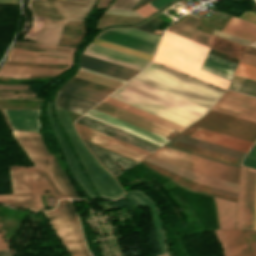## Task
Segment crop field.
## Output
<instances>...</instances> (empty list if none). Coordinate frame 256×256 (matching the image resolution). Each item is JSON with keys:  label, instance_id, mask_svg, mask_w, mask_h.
<instances>
[{"label": "crop field", "instance_id": "5d738f31", "mask_svg": "<svg viewBox=\"0 0 256 256\" xmlns=\"http://www.w3.org/2000/svg\"><path fill=\"white\" fill-rule=\"evenodd\" d=\"M171 0H155L149 4H151L152 6H154L155 8H160L161 6L165 5L166 3H168Z\"/></svg>", "mask_w": 256, "mask_h": 256}, {"label": "crop field", "instance_id": "d3111659", "mask_svg": "<svg viewBox=\"0 0 256 256\" xmlns=\"http://www.w3.org/2000/svg\"><path fill=\"white\" fill-rule=\"evenodd\" d=\"M140 19H142V18L103 14L97 28H100V27L108 25V24L132 23V22H136Z\"/></svg>", "mask_w": 256, "mask_h": 256}, {"label": "crop field", "instance_id": "eef30255", "mask_svg": "<svg viewBox=\"0 0 256 256\" xmlns=\"http://www.w3.org/2000/svg\"><path fill=\"white\" fill-rule=\"evenodd\" d=\"M60 92L68 93L71 95L83 97L93 101H100L103 99L107 94L100 93L94 90H90L72 83L67 82L60 90Z\"/></svg>", "mask_w": 256, "mask_h": 256}, {"label": "crop field", "instance_id": "bc2a9ffb", "mask_svg": "<svg viewBox=\"0 0 256 256\" xmlns=\"http://www.w3.org/2000/svg\"><path fill=\"white\" fill-rule=\"evenodd\" d=\"M213 199L218 218L219 228H234L236 203L214 196Z\"/></svg>", "mask_w": 256, "mask_h": 256}, {"label": "crop field", "instance_id": "d23c7cc5", "mask_svg": "<svg viewBox=\"0 0 256 256\" xmlns=\"http://www.w3.org/2000/svg\"><path fill=\"white\" fill-rule=\"evenodd\" d=\"M111 0H100L99 3L97 4L98 7H106L110 3Z\"/></svg>", "mask_w": 256, "mask_h": 256}, {"label": "crop field", "instance_id": "412701ff", "mask_svg": "<svg viewBox=\"0 0 256 256\" xmlns=\"http://www.w3.org/2000/svg\"><path fill=\"white\" fill-rule=\"evenodd\" d=\"M134 79L169 92L208 109L223 93L156 64L150 65Z\"/></svg>", "mask_w": 256, "mask_h": 256}, {"label": "crop field", "instance_id": "25e5ab78", "mask_svg": "<svg viewBox=\"0 0 256 256\" xmlns=\"http://www.w3.org/2000/svg\"><path fill=\"white\" fill-rule=\"evenodd\" d=\"M246 53H250V54L256 55V48L248 46V48L246 50Z\"/></svg>", "mask_w": 256, "mask_h": 256}, {"label": "crop field", "instance_id": "00972430", "mask_svg": "<svg viewBox=\"0 0 256 256\" xmlns=\"http://www.w3.org/2000/svg\"><path fill=\"white\" fill-rule=\"evenodd\" d=\"M168 31L178 34L180 36H183L185 38L191 39L193 41H196V42L206 45L208 47L210 46L211 41L214 37L213 35L195 30V29H193L189 26H186L180 22L176 23L174 26H172L170 29H168Z\"/></svg>", "mask_w": 256, "mask_h": 256}, {"label": "crop field", "instance_id": "214f88e0", "mask_svg": "<svg viewBox=\"0 0 256 256\" xmlns=\"http://www.w3.org/2000/svg\"><path fill=\"white\" fill-rule=\"evenodd\" d=\"M222 32L242 38L247 41H254L256 39V25L240 20L232 16Z\"/></svg>", "mask_w": 256, "mask_h": 256}, {"label": "crop field", "instance_id": "d1516ede", "mask_svg": "<svg viewBox=\"0 0 256 256\" xmlns=\"http://www.w3.org/2000/svg\"><path fill=\"white\" fill-rule=\"evenodd\" d=\"M85 116L90 117L92 119H95L97 121H100L102 123H105L107 125H110L112 127H115L117 129L123 130L125 132L133 134L135 136H138L140 138H143L145 140H148V141L153 142L155 144H158L160 146L164 145L165 143H167L169 141L167 139L161 138V137L156 136V135H154L152 133L144 131V130H142L140 128L132 126V125H130L128 123H125L123 121L115 119V118H113L111 116L103 114V113H101L99 111H96L94 109H92L87 114H85Z\"/></svg>", "mask_w": 256, "mask_h": 256}, {"label": "crop field", "instance_id": "5866460e", "mask_svg": "<svg viewBox=\"0 0 256 256\" xmlns=\"http://www.w3.org/2000/svg\"><path fill=\"white\" fill-rule=\"evenodd\" d=\"M88 47H92V48H95V49H98V50H102V51L109 52V53H112V54H115V55H119V56H122V57H125V58H129V59H132V60H136V61H139V62H142V63L149 64V61L142 60V59H139V58H136V57H133V56H130V55H126V54H123V53H120V52H117V51H114V50H110V49H107V48H104V47H101V46H98V45H94V44H91V43H89Z\"/></svg>", "mask_w": 256, "mask_h": 256}, {"label": "crop field", "instance_id": "4a817a6b", "mask_svg": "<svg viewBox=\"0 0 256 256\" xmlns=\"http://www.w3.org/2000/svg\"><path fill=\"white\" fill-rule=\"evenodd\" d=\"M191 137H195L201 140H205L211 143H215V144L225 146V147L235 149L245 153H247L249 148L252 146V143H248L245 141H241L238 139H234L231 137H227V136L210 132L207 130H203V129L199 130L198 132L193 134Z\"/></svg>", "mask_w": 256, "mask_h": 256}, {"label": "crop field", "instance_id": "8a807250", "mask_svg": "<svg viewBox=\"0 0 256 256\" xmlns=\"http://www.w3.org/2000/svg\"><path fill=\"white\" fill-rule=\"evenodd\" d=\"M34 166H9L12 195H0V202L32 210H45L40 195L78 197L64 172L48 153L40 134L12 131ZM48 191V193H46Z\"/></svg>", "mask_w": 256, "mask_h": 256}, {"label": "crop field", "instance_id": "750c4746", "mask_svg": "<svg viewBox=\"0 0 256 256\" xmlns=\"http://www.w3.org/2000/svg\"><path fill=\"white\" fill-rule=\"evenodd\" d=\"M92 43L99 44V45H102V46H105V47H108V48H112V49H115V50L123 51V52L129 53V54H133V55L140 56V57L150 59V60L153 57L152 55L145 54V53H142V52H139V51H136V50H133V49H129V48H126V47H123V46H119V45H116V44H112V43H109V42H106V41H103V40H99V39H96V38H94Z\"/></svg>", "mask_w": 256, "mask_h": 256}, {"label": "crop field", "instance_id": "4177f3b9", "mask_svg": "<svg viewBox=\"0 0 256 256\" xmlns=\"http://www.w3.org/2000/svg\"><path fill=\"white\" fill-rule=\"evenodd\" d=\"M232 256H250L242 234L237 230H222Z\"/></svg>", "mask_w": 256, "mask_h": 256}, {"label": "crop field", "instance_id": "ac0d7876", "mask_svg": "<svg viewBox=\"0 0 256 256\" xmlns=\"http://www.w3.org/2000/svg\"><path fill=\"white\" fill-rule=\"evenodd\" d=\"M110 97L185 128L195 123L208 112L206 108L134 79L123 85Z\"/></svg>", "mask_w": 256, "mask_h": 256}, {"label": "crop field", "instance_id": "ae1a2a85", "mask_svg": "<svg viewBox=\"0 0 256 256\" xmlns=\"http://www.w3.org/2000/svg\"><path fill=\"white\" fill-rule=\"evenodd\" d=\"M228 89L256 97V81L250 79L234 75Z\"/></svg>", "mask_w": 256, "mask_h": 256}, {"label": "crop field", "instance_id": "d32e631a", "mask_svg": "<svg viewBox=\"0 0 256 256\" xmlns=\"http://www.w3.org/2000/svg\"><path fill=\"white\" fill-rule=\"evenodd\" d=\"M235 75L256 80V68L240 63Z\"/></svg>", "mask_w": 256, "mask_h": 256}, {"label": "crop field", "instance_id": "733c2abd", "mask_svg": "<svg viewBox=\"0 0 256 256\" xmlns=\"http://www.w3.org/2000/svg\"><path fill=\"white\" fill-rule=\"evenodd\" d=\"M216 106L256 117V99L227 91Z\"/></svg>", "mask_w": 256, "mask_h": 256}, {"label": "crop field", "instance_id": "0bd39190", "mask_svg": "<svg viewBox=\"0 0 256 256\" xmlns=\"http://www.w3.org/2000/svg\"><path fill=\"white\" fill-rule=\"evenodd\" d=\"M241 63H245L256 67V56L245 53L241 60Z\"/></svg>", "mask_w": 256, "mask_h": 256}, {"label": "crop field", "instance_id": "34b2d1b8", "mask_svg": "<svg viewBox=\"0 0 256 256\" xmlns=\"http://www.w3.org/2000/svg\"><path fill=\"white\" fill-rule=\"evenodd\" d=\"M208 49L166 31L154 61L225 89L230 77L201 66Z\"/></svg>", "mask_w": 256, "mask_h": 256}, {"label": "crop field", "instance_id": "425ffa30", "mask_svg": "<svg viewBox=\"0 0 256 256\" xmlns=\"http://www.w3.org/2000/svg\"><path fill=\"white\" fill-rule=\"evenodd\" d=\"M0 4H18V0H0Z\"/></svg>", "mask_w": 256, "mask_h": 256}, {"label": "crop field", "instance_id": "d8731c3e", "mask_svg": "<svg viewBox=\"0 0 256 256\" xmlns=\"http://www.w3.org/2000/svg\"><path fill=\"white\" fill-rule=\"evenodd\" d=\"M96 38L154 54L160 36L129 28H112L100 33Z\"/></svg>", "mask_w": 256, "mask_h": 256}, {"label": "crop field", "instance_id": "89e229c0", "mask_svg": "<svg viewBox=\"0 0 256 256\" xmlns=\"http://www.w3.org/2000/svg\"><path fill=\"white\" fill-rule=\"evenodd\" d=\"M249 46L256 47V41H254L253 43H251Z\"/></svg>", "mask_w": 256, "mask_h": 256}, {"label": "crop field", "instance_id": "dafd665d", "mask_svg": "<svg viewBox=\"0 0 256 256\" xmlns=\"http://www.w3.org/2000/svg\"><path fill=\"white\" fill-rule=\"evenodd\" d=\"M255 188L256 171L248 169L244 229H252Z\"/></svg>", "mask_w": 256, "mask_h": 256}, {"label": "crop field", "instance_id": "f4fd0767", "mask_svg": "<svg viewBox=\"0 0 256 256\" xmlns=\"http://www.w3.org/2000/svg\"><path fill=\"white\" fill-rule=\"evenodd\" d=\"M59 118L74 150L83 163L100 198L116 199L124 194L114 178L98 163L80 140L66 110L54 105Z\"/></svg>", "mask_w": 256, "mask_h": 256}, {"label": "crop field", "instance_id": "28ad6ade", "mask_svg": "<svg viewBox=\"0 0 256 256\" xmlns=\"http://www.w3.org/2000/svg\"><path fill=\"white\" fill-rule=\"evenodd\" d=\"M94 109L99 110L103 113H106L108 115H111L113 117H116L118 119H121L125 122H128L130 124H133L135 126H138L142 129H145L147 131H150L152 133H155L160 136L166 135L171 129L166 128L164 126H161L159 124L153 123L151 121H148L146 119H143L141 117H138L136 115H133L131 113H128L126 111H123L121 109L115 108L113 106H110L108 104H105L101 102L98 104Z\"/></svg>", "mask_w": 256, "mask_h": 256}, {"label": "crop field", "instance_id": "b54c1fbb", "mask_svg": "<svg viewBox=\"0 0 256 256\" xmlns=\"http://www.w3.org/2000/svg\"><path fill=\"white\" fill-rule=\"evenodd\" d=\"M6 249H7V247H6L2 237L0 235V251L1 250H6ZM0 256H12V255L10 254L9 250H6V251H1L0 252Z\"/></svg>", "mask_w": 256, "mask_h": 256}, {"label": "crop field", "instance_id": "e1f06a70", "mask_svg": "<svg viewBox=\"0 0 256 256\" xmlns=\"http://www.w3.org/2000/svg\"><path fill=\"white\" fill-rule=\"evenodd\" d=\"M215 233H216V235H217V237H218V239H219V241L221 243V246H222V248L224 250L225 256H231V253L229 251V248L227 246V243L225 241V238L223 236L222 231L221 230H216Z\"/></svg>", "mask_w": 256, "mask_h": 256}, {"label": "crop field", "instance_id": "120bbe31", "mask_svg": "<svg viewBox=\"0 0 256 256\" xmlns=\"http://www.w3.org/2000/svg\"><path fill=\"white\" fill-rule=\"evenodd\" d=\"M137 0H116L114 4L111 6V8H116V9H130L132 5L136 2ZM148 0H138L131 9L145 3ZM130 9V10H131Z\"/></svg>", "mask_w": 256, "mask_h": 256}, {"label": "crop field", "instance_id": "cbeb9de0", "mask_svg": "<svg viewBox=\"0 0 256 256\" xmlns=\"http://www.w3.org/2000/svg\"><path fill=\"white\" fill-rule=\"evenodd\" d=\"M47 117L49 120V123L51 125L52 131L56 137V139L58 140L63 156L73 174V176L77 179V181L81 184V186L83 187V189L85 190V192L87 193V195L90 198H95L94 194L92 193L77 161L75 160L73 154L71 153V151L69 150L59 128L57 127L56 123L54 122L51 113H50V109H49V103L47 105Z\"/></svg>", "mask_w": 256, "mask_h": 256}, {"label": "crop field", "instance_id": "b80d0937", "mask_svg": "<svg viewBox=\"0 0 256 256\" xmlns=\"http://www.w3.org/2000/svg\"><path fill=\"white\" fill-rule=\"evenodd\" d=\"M106 13L110 14H120V15H130V16H140L137 12L135 11H124V10H114V9H109Z\"/></svg>", "mask_w": 256, "mask_h": 256}, {"label": "crop field", "instance_id": "a9b5d70f", "mask_svg": "<svg viewBox=\"0 0 256 256\" xmlns=\"http://www.w3.org/2000/svg\"><path fill=\"white\" fill-rule=\"evenodd\" d=\"M84 54L94 56V57H97V58H100V59H103V60H106L109 62H113V63L119 64V65H122V66H125L128 68L138 70V71L142 70L146 66V64H142V63H139L136 61L125 59V58H122L119 56L108 54V53L98 51V50L88 48V47L85 48Z\"/></svg>", "mask_w": 256, "mask_h": 256}, {"label": "crop field", "instance_id": "bd1437ed", "mask_svg": "<svg viewBox=\"0 0 256 256\" xmlns=\"http://www.w3.org/2000/svg\"><path fill=\"white\" fill-rule=\"evenodd\" d=\"M69 82H72V83H75V84H78V85H81V86H84V87H87V88H90V89H94V90H97V91H100V92H104V93H107V94L111 93L114 90V89H111V88H108V87H105V86H101V85H98V84H95V83H92V82H88V81H85V80L78 79V78H75V77L70 79Z\"/></svg>", "mask_w": 256, "mask_h": 256}, {"label": "crop field", "instance_id": "d9b57169", "mask_svg": "<svg viewBox=\"0 0 256 256\" xmlns=\"http://www.w3.org/2000/svg\"><path fill=\"white\" fill-rule=\"evenodd\" d=\"M12 129L39 132V110H2Z\"/></svg>", "mask_w": 256, "mask_h": 256}, {"label": "crop field", "instance_id": "c21b1889", "mask_svg": "<svg viewBox=\"0 0 256 256\" xmlns=\"http://www.w3.org/2000/svg\"><path fill=\"white\" fill-rule=\"evenodd\" d=\"M78 70L84 71V72H87V73H90V74H94V75H97V76H101V77H104V78H108V79H111V80H115V81H118V82H122V83L126 82L124 80H120V79L110 77V76H107V75H104V74L96 73V72H93V71H90V70H87V69H84V68H81V67H79Z\"/></svg>", "mask_w": 256, "mask_h": 256}, {"label": "crop field", "instance_id": "92a150f3", "mask_svg": "<svg viewBox=\"0 0 256 256\" xmlns=\"http://www.w3.org/2000/svg\"><path fill=\"white\" fill-rule=\"evenodd\" d=\"M54 103L80 115L85 113L94 104H96V102H92L60 92L58 93Z\"/></svg>", "mask_w": 256, "mask_h": 256}, {"label": "crop field", "instance_id": "730fd06b", "mask_svg": "<svg viewBox=\"0 0 256 256\" xmlns=\"http://www.w3.org/2000/svg\"><path fill=\"white\" fill-rule=\"evenodd\" d=\"M87 0H30L34 15L47 17L49 3L83 6Z\"/></svg>", "mask_w": 256, "mask_h": 256}, {"label": "crop field", "instance_id": "73cf0c24", "mask_svg": "<svg viewBox=\"0 0 256 256\" xmlns=\"http://www.w3.org/2000/svg\"><path fill=\"white\" fill-rule=\"evenodd\" d=\"M253 229H256V200H255V212H254V224Z\"/></svg>", "mask_w": 256, "mask_h": 256}, {"label": "crop field", "instance_id": "e52e79f7", "mask_svg": "<svg viewBox=\"0 0 256 256\" xmlns=\"http://www.w3.org/2000/svg\"><path fill=\"white\" fill-rule=\"evenodd\" d=\"M149 158L180 166L206 175L238 184L239 169L214 161L182 153L169 148H161Z\"/></svg>", "mask_w": 256, "mask_h": 256}, {"label": "crop field", "instance_id": "5a996713", "mask_svg": "<svg viewBox=\"0 0 256 256\" xmlns=\"http://www.w3.org/2000/svg\"><path fill=\"white\" fill-rule=\"evenodd\" d=\"M74 124L81 138L85 141L91 142L93 144L104 147L116 153L135 159L137 161L143 160L145 157H147L150 154L148 152H145L143 150H140L138 148H135L133 146L120 142L118 140H115L111 137H108L106 135L93 131L91 129H88L76 123Z\"/></svg>", "mask_w": 256, "mask_h": 256}, {"label": "crop field", "instance_id": "03da06ac", "mask_svg": "<svg viewBox=\"0 0 256 256\" xmlns=\"http://www.w3.org/2000/svg\"><path fill=\"white\" fill-rule=\"evenodd\" d=\"M240 18L256 23V14L246 11Z\"/></svg>", "mask_w": 256, "mask_h": 256}, {"label": "crop field", "instance_id": "22f410ed", "mask_svg": "<svg viewBox=\"0 0 256 256\" xmlns=\"http://www.w3.org/2000/svg\"><path fill=\"white\" fill-rule=\"evenodd\" d=\"M145 161L150 162V163H152L154 165H157L159 167H162V168H164L166 170H169L171 172H174V173H176L178 175H181L183 177H186V178H188L190 180H193L195 182L210 185V186H213V187H217V188H221V189H224V190H228V191H232V192L237 193V189H238L237 184H233V183H230V182H227V181H223V180H220V179H217V178L206 176V175L196 173V172H193V171H190V170H186V169H183V168H180V167L169 165V164L159 162V161H156V160H153V159L147 158V159H145Z\"/></svg>", "mask_w": 256, "mask_h": 256}, {"label": "crop field", "instance_id": "028f5c9d", "mask_svg": "<svg viewBox=\"0 0 256 256\" xmlns=\"http://www.w3.org/2000/svg\"><path fill=\"white\" fill-rule=\"evenodd\" d=\"M247 157L256 159V143L254 144V146L249 151ZM247 157H245L242 164L247 166V167H251V168L256 169V160H253V159H250V158H247Z\"/></svg>", "mask_w": 256, "mask_h": 256}, {"label": "crop field", "instance_id": "dd49c442", "mask_svg": "<svg viewBox=\"0 0 256 256\" xmlns=\"http://www.w3.org/2000/svg\"><path fill=\"white\" fill-rule=\"evenodd\" d=\"M45 215L71 256H89L70 200H59L58 206Z\"/></svg>", "mask_w": 256, "mask_h": 256}, {"label": "crop field", "instance_id": "1d83c4d3", "mask_svg": "<svg viewBox=\"0 0 256 256\" xmlns=\"http://www.w3.org/2000/svg\"><path fill=\"white\" fill-rule=\"evenodd\" d=\"M251 256H256V231H242Z\"/></svg>", "mask_w": 256, "mask_h": 256}, {"label": "crop field", "instance_id": "3316defc", "mask_svg": "<svg viewBox=\"0 0 256 256\" xmlns=\"http://www.w3.org/2000/svg\"><path fill=\"white\" fill-rule=\"evenodd\" d=\"M76 123L86 126L88 128H91L93 130H96L98 132H101L103 134H106L108 136H111L115 139H118L130 145H133L135 147H138L150 153L154 152L160 147L158 145H155L153 143H150L148 141H145L143 139H140L128 133L122 132L120 130H117L115 128H112L110 126L97 122L95 120H92L90 118H87L85 116H83L78 121H76Z\"/></svg>", "mask_w": 256, "mask_h": 256}, {"label": "crop field", "instance_id": "5142ce71", "mask_svg": "<svg viewBox=\"0 0 256 256\" xmlns=\"http://www.w3.org/2000/svg\"><path fill=\"white\" fill-rule=\"evenodd\" d=\"M81 67L104 73L107 75H111L114 77H118L121 79H129L132 77L134 74H136L138 71L128 69L116 64H112L97 58H93L87 55H82L81 57Z\"/></svg>", "mask_w": 256, "mask_h": 256}, {"label": "crop field", "instance_id": "c035e120", "mask_svg": "<svg viewBox=\"0 0 256 256\" xmlns=\"http://www.w3.org/2000/svg\"><path fill=\"white\" fill-rule=\"evenodd\" d=\"M214 34H217L219 36H222V37H225V38H228L230 40H233V41H236V42H239L241 44H244V45H248L250 44V42H247V41H244L242 39H239V38H236V37H233V36H230V35H227V34H224L222 32H219V31H214Z\"/></svg>", "mask_w": 256, "mask_h": 256}]
</instances>
